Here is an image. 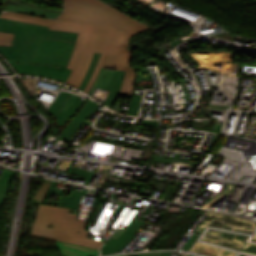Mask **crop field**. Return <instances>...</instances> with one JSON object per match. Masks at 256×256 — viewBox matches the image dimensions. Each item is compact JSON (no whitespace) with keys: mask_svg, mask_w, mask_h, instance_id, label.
Here are the masks:
<instances>
[{"mask_svg":"<svg viewBox=\"0 0 256 256\" xmlns=\"http://www.w3.org/2000/svg\"><path fill=\"white\" fill-rule=\"evenodd\" d=\"M64 4V12L54 20L12 12H5L0 17L79 33L67 67L73 71L66 84L78 88L92 61L93 52H98L102 55L84 92L88 94L99 68L104 67L126 71L119 93L132 95L136 70L129 67L132 45L126 43L130 36L150 28L101 0H64Z\"/></svg>","mask_w":256,"mask_h":256,"instance_id":"1","label":"crop field"},{"mask_svg":"<svg viewBox=\"0 0 256 256\" xmlns=\"http://www.w3.org/2000/svg\"><path fill=\"white\" fill-rule=\"evenodd\" d=\"M78 210L40 205L30 235L67 241L99 250L103 241L86 238L87 223L75 221Z\"/></svg>","mask_w":256,"mask_h":256,"instance_id":"2","label":"crop field"},{"mask_svg":"<svg viewBox=\"0 0 256 256\" xmlns=\"http://www.w3.org/2000/svg\"><path fill=\"white\" fill-rule=\"evenodd\" d=\"M76 41L42 37L32 61L6 59L17 74H31L66 82V69Z\"/></svg>","mask_w":256,"mask_h":256,"instance_id":"3","label":"crop field"},{"mask_svg":"<svg viewBox=\"0 0 256 256\" xmlns=\"http://www.w3.org/2000/svg\"><path fill=\"white\" fill-rule=\"evenodd\" d=\"M0 31L15 33L12 47L0 46L4 58L31 60L41 36L76 40V33L54 31L46 26L0 18Z\"/></svg>","mask_w":256,"mask_h":256,"instance_id":"4","label":"crop field"},{"mask_svg":"<svg viewBox=\"0 0 256 256\" xmlns=\"http://www.w3.org/2000/svg\"><path fill=\"white\" fill-rule=\"evenodd\" d=\"M124 75L125 72L123 71L101 68L88 95L91 96L96 87L110 91L104 104L112 108L123 82Z\"/></svg>","mask_w":256,"mask_h":256,"instance_id":"5","label":"crop field"},{"mask_svg":"<svg viewBox=\"0 0 256 256\" xmlns=\"http://www.w3.org/2000/svg\"><path fill=\"white\" fill-rule=\"evenodd\" d=\"M80 96L70 93L60 92L55 99L54 103L48 110L54 116L57 117L58 124L55 126H63L66 121L72 116V114L82 104V100H79ZM84 103V102H83Z\"/></svg>","mask_w":256,"mask_h":256,"instance_id":"6","label":"crop field"},{"mask_svg":"<svg viewBox=\"0 0 256 256\" xmlns=\"http://www.w3.org/2000/svg\"><path fill=\"white\" fill-rule=\"evenodd\" d=\"M145 223L137 218L121 233L117 239L111 238L108 243L102 249V255L114 253L117 250L123 249L128 243H130L135 236H133L139 228Z\"/></svg>","mask_w":256,"mask_h":256,"instance_id":"7","label":"crop field"},{"mask_svg":"<svg viewBox=\"0 0 256 256\" xmlns=\"http://www.w3.org/2000/svg\"><path fill=\"white\" fill-rule=\"evenodd\" d=\"M97 104L93 101H88L84 107L75 115V117L67 124V126L60 133L58 139L68 141L76 130L83 124L85 119L92 113L96 108Z\"/></svg>","mask_w":256,"mask_h":256,"instance_id":"8","label":"crop field"},{"mask_svg":"<svg viewBox=\"0 0 256 256\" xmlns=\"http://www.w3.org/2000/svg\"><path fill=\"white\" fill-rule=\"evenodd\" d=\"M61 256H97L98 250L67 243L61 241H55Z\"/></svg>","mask_w":256,"mask_h":256,"instance_id":"9","label":"crop field"},{"mask_svg":"<svg viewBox=\"0 0 256 256\" xmlns=\"http://www.w3.org/2000/svg\"><path fill=\"white\" fill-rule=\"evenodd\" d=\"M3 2H4V10L6 9L10 11L33 13V14L47 16L50 18H55L60 14L58 12L45 11V10H41L26 4H22L19 0H3Z\"/></svg>","mask_w":256,"mask_h":256,"instance_id":"10","label":"crop field"},{"mask_svg":"<svg viewBox=\"0 0 256 256\" xmlns=\"http://www.w3.org/2000/svg\"><path fill=\"white\" fill-rule=\"evenodd\" d=\"M14 174L15 172L13 171L3 169L0 175V205L9 191L10 181Z\"/></svg>","mask_w":256,"mask_h":256,"instance_id":"11","label":"crop field"},{"mask_svg":"<svg viewBox=\"0 0 256 256\" xmlns=\"http://www.w3.org/2000/svg\"><path fill=\"white\" fill-rule=\"evenodd\" d=\"M82 194L72 190L69 197L62 196L58 206L78 209Z\"/></svg>","mask_w":256,"mask_h":256,"instance_id":"12","label":"crop field"},{"mask_svg":"<svg viewBox=\"0 0 256 256\" xmlns=\"http://www.w3.org/2000/svg\"><path fill=\"white\" fill-rule=\"evenodd\" d=\"M100 55L101 54L94 53L93 61H92L91 65H90V67H89V69H88V71H87V73H86L82 83L80 84L79 89L84 90V88L86 87L89 79L91 78V76H92V74L94 72L95 66H96V64L98 62V59H99Z\"/></svg>","mask_w":256,"mask_h":256,"instance_id":"13","label":"crop field"},{"mask_svg":"<svg viewBox=\"0 0 256 256\" xmlns=\"http://www.w3.org/2000/svg\"><path fill=\"white\" fill-rule=\"evenodd\" d=\"M69 173L71 174H77V175H82L81 178L86 179L85 183L86 185H88V183L91 181V179L93 178L94 174L93 172H90L88 170H84L81 168H77V167H73L71 166Z\"/></svg>","mask_w":256,"mask_h":256,"instance_id":"14","label":"crop field"},{"mask_svg":"<svg viewBox=\"0 0 256 256\" xmlns=\"http://www.w3.org/2000/svg\"><path fill=\"white\" fill-rule=\"evenodd\" d=\"M50 183L51 180H45L43 187L37 191L32 203H41Z\"/></svg>","mask_w":256,"mask_h":256,"instance_id":"15","label":"crop field"},{"mask_svg":"<svg viewBox=\"0 0 256 256\" xmlns=\"http://www.w3.org/2000/svg\"><path fill=\"white\" fill-rule=\"evenodd\" d=\"M142 96H133L130 104L129 112L130 115H138V110Z\"/></svg>","mask_w":256,"mask_h":256,"instance_id":"16","label":"crop field"},{"mask_svg":"<svg viewBox=\"0 0 256 256\" xmlns=\"http://www.w3.org/2000/svg\"><path fill=\"white\" fill-rule=\"evenodd\" d=\"M179 155L178 153H176L174 159H171V158H167V157H156L155 160H152L150 162H155V163H161V164H164L165 162L167 163H172L173 161H183V160H178L179 158ZM183 162H187V163H190V166L194 167L196 163H193V162H190V161H183Z\"/></svg>","mask_w":256,"mask_h":256,"instance_id":"17","label":"crop field"},{"mask_svg":"<svg viewBox=\"0 0 256 256\" xmlns=\"http://www.w3.org/2000/svg\"><path fill=\"white\" fill-rule=\"evenodd\" d=\"M177 189L178 187L168 185V187L166 188V190L164 191L160 199L171 201Z\"/></svg>","mask_w":256,"mask_h":256,"instance_id":"18","label":"crop field"},{"mask_svg":"<svg viewBox=\"0 0 256 256\" xmlns=\"http://www.w3.org/2000/svg\"><path fill=\"white\" fill-rule=\"evenodd\" d=\"M13 36H14V34H12V33L0 32V45L11 46Z\"/></svg>","mask_w":256,"mask_h":256,"instance_id":"19","label":"crop field"},{"mask_svg":"<svg viewBox=\"0 0 256 256\" xmlns=\"http://www.w3.org/2000/svg\"><path fill=\"white\" fill-rule=\"evenodd\" d=\"M171 252H155V253H138L129 256H169Z\"/></svg>","mask_w":256,"mask_h":256,"instance_id":"20","label":"crop field"},{"mask_svg":"<svg viewBox=\"0 0 256 256\" xmlns=\"http://www.w3.org/2000/svg\"><path fill=\"white\" fill-rule=\"evenodd\" d=\"M143 126H149V127H155L158 128V121H149V120H144L142 123Z\"/></svg>","mask_w":256,"mask_h":256,"instance_id":"21","label":"crop field"},{"mask_svg":"<svg viewBox=\"0 0 256 256\" xmlns=\"http://www.w3.org/2000/svg\"><path fill=\"white\" fill-rule=\"evenodd\" d=\"M200 212V211H199ZM203 212V210H201V212L197 215V217L193 220V222L200 216V214ZM193 222L188 226V228L186 230L183 231L182 236L179 238V240L174 244V246L171 249H174V247L180 242L181 238L185 235L186 231L189 229V227L193 224ZM191 228V227H190Z\"/></svg>","mask_w":256,"mask_h":256,"instance_id":"22","label":"crop field"},{"mask_svg":"<svg viewBox=\"0 0 256 256\" xmlns=\"http://www.w3.org/2000/svg\"><path fill=\"white\" fill-rule=\"evenodd\" d=\"M118 256H124V255H118Z\"/></svg>","mask_w":256,"mask_h":256,"instance_id":"23","label":"crop field"},{"mask_svg":"<svg viewBox=\"0 0 256 256\" xmlns=\"http://www.w3.org/2000/svg\"><path fill=\"white\" fill-rule=\"evenodd\" d=\"M129 255V254H128ZM128 255H125V256H128Z\"/></svg>","mask_w":256,"mask_h":256,"instance_id":"24","label":"crop field"}]
</instances>
